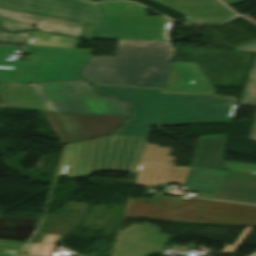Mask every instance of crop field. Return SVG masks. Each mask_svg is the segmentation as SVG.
Here are the masks:
<instances>
[{
    "label": "crop field",
    "mask_w": 256,
    "mask_h": 256,
    "mask_svg": "<svg viewBox=\"0 0 256 256\" xmlns=\"http://www.w3.org/2000/svg\"><path fill=\"white\" fill-rule=\"evenodd\" d=\"M0 22L3 27H5L8 30H19V29H31L33 28L32 25H28L25 23H21L15 20H11L8 18H4L0 16Z\"/></svg>",
    "instance_id": "crop-field-24"
},
{
    "label": "crop field",
    "mask_w": 256,
    "mask_h": 256,
    "mask_svg": "<svg viewBox=\"0 0 256 256\" xmlns=\"http://www.w3.org/2000/svg\"><path fill=\"white\" fill-rule=\"evenodd\" d=\"M140 139L105 136L66 145L58 175L90 176L98 170L129 171Z\"/></svg>",
    "instance_id": "crop-field-4"
},
{
    "label": "crop field",
    "mask_w": 256,
    "mask_h": 256,
    "mask_svg": "<svg viewBox=\"0 0 256 256\" xmlns=\"http://www.w3.org/2000/svg\"><path fill=\"white\" fill-rule=\"evenodd\" d=\"M236 50L256 53V40L246 43ZM241 104H256V56L249 70V79L242 91Z\"/></svg>",
    "instance_id": "crop-field-19"
},
{
    "label": "crop field",
    "mask_w": 256,
    "mask_h": 256,
    "mask_svg": "<svg viewBox=\"0 0 256 256\" xmlns=\"http://www.w3.org/2000/svg\"><path fill=\"white\" fill-rule=\"evenodd\" d=\"M171 148L147 144L135 185L155 187L157 182L183 185L189 168L143 165V163L173 165L175 158L168 157Z\"/></svg>",
    "instance_id": "crop-field-9"
},
{
    "label": "crop field",
    "mask_w": 256,
    "mask_h": 256,
    "mask_svg": "<svg viewBox=\"0 0 256 256\" xmlns=\"http://www.w3.org/2000/svg\"><path fill=\"white\" fill-rule=\"evenodd\" d=\"M88 203L70 201L62 206L47 234L65 236L73 232L87 211Z\"/></svg>",
    "instance_id": "crop-field-16"
},
{
    "label": "crop field",
    "mask_w": 256,
    "mask_h": 256,
    "mask_svg": "<svg viewBox=\"0 0 256 256\" xmlns=\"http://www.w3.org/2000/svg\"><path fill=\"white\" fill-rule=\"evenodd\" d=\"M163 92L214 94L215 90L195 63L173 62Z\"/></svg>",
    "instance_id": "crop-field-11"
},
{
    "label": "crop field",
    "mask_w": 256,
    "mask_h": 256,
    "mask_svg": "<svg viewBox=\"0 0 256 256\" xmlns=\"http://www.w3.org/2000/svg\"><path fill=\"white\" fill-rule=\"evenodd\" d=\"M104 20L87 26L84 38L118 40L115 58L90 57L80 74L91 83L163 88L175 50L170 21L147 17L131 2H100Z\"/></svg>",
    "instance_id": "crop-field-1"
},
{
    "label": "crop field",
    "mask_w": 256,
    "mask_h": 256,
    "mask_svg": "<svg viewBox=\"0 0 256 256\" xmlns=\"http://www.w3.org/2000/svg\"><path fill=\"white\" fill-rule=\"evenodd\" d=\"M251 228L252 227H246V229L243 231V233L240 235V237L235 241V243L232 246L226 245L222 253L234 254L235 250L238 248V246L241 244V242L248 235Z\"/></svg>",
    "instance_id": "crop-field-25"
},
{
    "label": "crop field",
    "mask_w": 256,
    "mask_h": 256,
    "mask_svg": "<svg viewBox=\"0 0 256 256\" xmlns=\"http://www.w3.org/2000/svg\"><path fill=\"white\" fill-rule=\"evenodd\" d=\"M1 104H18V109L47 111L34 87L1 85Z\"/></svg>",
    "instance_id": "crop-field-17"
},
{
    "label": "crop field",
    "mask_w": 256,
    "mask_h": 256,
    "mask_svg": "<svg viewBox=\"0 0 256 256\" xmlns=\"http://www.w3.org/2000/svg\"><path fill=\"white\" fill-rule=\"evenodd\" d=\"M159 248L117 238L112 256H150L163 249Z\"/></svg>",
    "instance_id": "crop-field-20"
},
{
    "label": "crop field",
    "mask_w": 256,
    "mask_h": 256,
    "mask_svg": "<svg viewBox=\"0 0 256 256\" xmlns=\"http://www.w3.org/2000/svg\"><path fill=\"white\" fill-rule=\"evenodd\" d=\"M154 196L152 204L146 199ZM146 199L130 200L125 217H139L154 221L195 223L208 200L152 195Z\"/></svg>",
    "instance_id": "crop-field-7"
},
{
    "label": "crop field",
    "mask_w": 256,
    "mask_h": 256,
    "mask_svg": "<svg viewBox=\"0 0 256 256\" xmlns=\"http://www.w3.org/2000/svg\"><path fill=\"white\" fill-rule=\"evenodd\" d=\"M0 15L38 26L37 30L55 32L76 37L79 36L83 27V25L77 23L48 19L3 9H0ZM21 16H24V18Z\"/></svg>",
    "instance_id": "crop-field-14"
},
{
    "label": "crop field",
    "mask_w": 256,
    "mask_h": 256,
    "mask_svg": "<svg viewBox=\"0 0 256 256\" xmlns=\"http://www.w3.org/2000/svg\"><path fill=\"white\" fill-rule=\"evenodd\" d=\"M63 143L89 140L114 132L126 117L47 112Z\"/></svg>",
    "instance_id": "crop-field-8"
},
{
    "label": "crop field",
    "mask_w": 256,
    "mask_h": 256,
    "mask_svg": "<svg viewBox=\"0 0 256 256\" xmlns=\"http://www.w3.org/2000/svg\"><path fill=\"white\" fill-rule=\"evenodd\" d=\"M213 199L256 204V174L229 171Z\"/></svg>",
    "instance_id": "crop-field-12"
},
{
    "label": "crop field",
    "mask_w": 256,
    "mask_h": 256,
    "mask_svg": "<svg viewBox=\"0 0 256 256\" xmlns=\"http://www.w3.org/2000/svg\"><path fill=\"white\" fill-rule=\"evenodd\" d=\"M21 256H31V255H29V254H25V255H21Z\"/></svg>",
    "instance_id": "crop-field-29"
},
{
    "label": "crop field",
    "mask_w": 256,
    "mask_h": 256,
    "mask_svg": "<svg viewBox=\"0 0 256 256\" xmlns=\"http://www.w3.org/2000/svg\"><path fill=\"white\" fill-rule=\"evenodd\" d=\"M186 16L188 24L220 23L235 14L216 0H152Z\"/></svg>",
    "instance_id": "crop-field-10"
},
{
    "label": "crop field",
    "mask_w": 256,
    "mask_h": 256,
    "mask_svg": "<svg viewBox=\"0 0 256 256\" xmlns=\"http://www.w3.org/2000/svg\"><path fill=\"white\" fill-rule=\"evenodd\" d=\"M17 105H1L4 108H16Z\"/></svg>",
    "instance_id": "crop-field-28"
},
{
    "label": "crop field",
    "mask_w": 256,
    "mask_h": 256,
    "mask_svg": "<svg viewBox=\"0 0 256 256\" xmlns=\"http://www.w3.org/2000/svg\"><path fill=\"white\" fill-rule=\"evenodd\" d=\"M80 39L53 36L33 31L30 45L77 48Z\"/></svg>",
    "instance_id": "crop-field-21"
},
{
    "label": "crop field",
    "mask_w": 256,
    "mask_h": 256,
    "mask_svg": "<svg viewBox=\"0 0 256 256\" xmlns=\"http://www.w3.org/2000/svg\"><path fill=\"white\" fill-rule=\"evenodd\" d=\"M222 1H224L228 5H231V4H237V3L244 2L245 0H222Z\"/></svg>",
    "instance_id": "crop-field-27"
},
{
    "label": "crop field",
    "mask_w": 256,
    "mask_h": 256,
    "mask_svg": "<svg viewBox=\"0 0 256 256\" xmlns=\"http://www.w3.org/2000/svg\"><path fill=\"white\" fill-rule=\"evenodd\" d=\"M32 85L48 111L129 116L125 103L94 93L86 81Z\"/></svg>",
    "instance_id": "crop-field-5"
},
{
    "label": "crop field",
    "mask_w": 256,
    "mask_h": 256,
    "mask_svg": "<svg viewBox=\"0 0 256 256\" xmlns=\"http://www.w3.org/2000/svg\"><path fill=\"white\" fill-rule=\"evenodd\" d=\"M227 171L190 168L184 185L187 191L198 192L197 196L211 199Z\"/></svg>",
    "instance_id": "crop-field-15"
},
{
    "label": "crop field",
    "mask_w": 256,
    "mask_h": 256,
    "mask_svg": "<svg viewBox=\"0 0 256 256\" xmlns=\"http://www.w3.org/2000/svg\"><path fill=\"white\" fill-rule=\"evenodd\" d=\"M226 136H200L190 166L224 169Z\"/></svg>",
    "instance_id": "crop-field-13"
},
{
    "label": "crop field",
    "mask_w": 256,
    "mask_h": 256,
    "mask_svg": "<svg viewBox=\"0 0 256 256\" xmlns=\"http://www.w3.org/2000/svg\"><path fill=\"white\" fill-rule=\"evenodd\" d=\"M98 93L125 100L133 116L112 136L142 137L131 170L137 172L151 126L230 123L236 98L162 93L163 89L93 84Z\"/></svg>",
    "instance_id": "crop-field-2"
},
{
    "label": "crop field",
    "mask_w": 256,
    "mask_h": 256,
    "mask_svg": "<svg viewBox=\"0 0 256 256\" xmlns=\"http://www.w3.org/2000/svg\"><path fill=\"white\" fill-rule=\"evenodd\" d=\"M247 139L256 141V123L253 124L251 132Z\"/></svg>",
    "instance_id": "crop-field-26"
},
{
    "label": "crop field",
    "mask_w": 256,
    "mask_h": 256,
    "mask_svg": "<svg viewBox=\"0 0 256 256\" xmlns=\"http://www.w3.org/2000/svg\"><path fill=\"white\" fill-rule=\"evenodd\" d=\"M225 169L256 173V164L225 161Z\"/></svg>",
    "instance_id": "crop-field-23"
},
{
    "label": "crop field",
    "mask_w": 256,
    "mask_h": 256,
    "mask_svg": "<svg viewBox=\"0 0 256 256\" xmlns=\"http://www.w3.org/2000/svg\"><path fill=\"white\" fill-rule=\"evenodd\" d=\"M97 5L84 0H0L3 9L85 25H99L102 15Z\"/></svg>",
    "instance_id": "crop-field-6"
},
{
    "label": "crop field",
    "mask_w": 256,
    "mask_h": 256,
    "mask_svg": "<svg viewBox=\"0 0 256 256\" xmlns=\"http://www.w3.org/2000/svg\"><path fill=\"white\" fill-rule=\"evenodd\" d=\"M21 50L19 46L0 45V83L27 85L29 82H53L83 79L77 74L91 50L24 45L29 61H6Z\"/></svg>",
    "instance_id": "crop-field-3"
},
{
    "label": "crop field",
    "mask_w": 256,
    "mask_h": 256,
    "mask_svg": "<svg viewBox=\"0 0 256 256\" xmlns=\"http://www.w3.org/2000/svg\"><path fill=\"white\" fill-rule=\"evenodd\" d=\"M32 31L7 33L0 29V43L27 44L30 43Z\"/></svg>",
    "instance_id": "crop-field-22"
},
{
    "label": "crop field",
    "mask_w": 256,
    "mask_h": 256,
    "mask_svg": "<svg viewBox=\"0 0 256 256\" xmlns=\"http://www.w3.org/2000/svg\"><path fill=\"white\" fill-rule=\"evenodd\" d=\"M160 231H162L160 228L145 222L139 226L137 224L131 225L122 231L119 236L157 246H164L172 237L158 234Z\"/></svg>",
    "instance_id": "crop-field-18"
}]
</instances>
